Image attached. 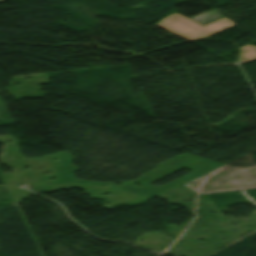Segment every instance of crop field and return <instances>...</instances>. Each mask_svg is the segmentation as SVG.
Listing matches in <instances>:
<instances>
[{
    "instance_id": "8a807250",
    "label": "crop field",
    "mask_w": 256,
    "mask_h": 256,
    "mask_svg": "<svg viewBox=\"0 0 256 256\" xmlns=\"http://www.w3.org/2000/svg\"><path fill=\"white\" fill-rule=\"evenodd\" d=\"M3 1V0H0V2Z\"/></svg>"
}]
</instances>
